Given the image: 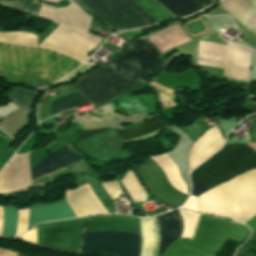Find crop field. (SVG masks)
I'll use <instances>...</instances> for the list:
<instances>
[{"label": "crop field", "mask_w": 256, "mask_h": 256, "mask_svg": "<svg viewBox=\"0 0 256 256\" xmlns=\"http://www.w3.org/2000/svg\"><path fill=\"white\" fill-rule=\"evenodd\" d=\"M248 233L238 223L202 214L193 240L177 239L162 256H217L229 239L240 242Z\"/></svg>", "instance_id": "crop-field-4"}, {"label": "crop field", "mask_w": 256, "mask_h": 256, "mask_svg": "<svg viewBox=\"0 0 256 256\" xmlns=\"http://www.w3.org/2000/svg\"><path fill=\"white\" fill-rule=\"evenodd\" d=\"M174 16L182 17L203 8L193 0H156Z\"/></svg>", "instance_id": "crop-field-24"}, {"label": "crop field", "mask_w": 256, "mask_h": 256, "mask_svg": "<svg viewBox=\"0 0 256 256\" xmlns=\"http://www.w3.org/2000/svg\"><path fill=\"white\" fill-rule=\"evenodd\" d=\"M4 5L24 10L31 14H37L40 5L32 3V0H4Z\"/></svg>", "instance_id": "crop-field-33"}, {"label": "crop field", "mask_w": 256, "mask_h": 256, "mask_svg": "<svg viewBox=\"0 0 256 256\" xmlns=\"http://www.w3.org/2000/svg\"><path fill=\"white\" fill-rule=\"evenodd\" d=\"M211 189L210 187H208L206 184H204L203 182L195 185L192 187V195H200L202 193H204L205 191Z\"/></svg>", "instance_id": "crop-field-38"}, {"label": "crop field", "mask_w": 256, "mask_h": 256, "mask_svg": "<svg viewBox=\"0 0 256 256\" xmlns=\"http://www.w3.org/2000/svg\"><path fill=\"white\" fill-rule=\"evenodd\" d=\"M30 186L28 153L15 155L0 172V193Z\"/></svg>", "instance_id": "crop-field-13"}, {"label": "crop field", "mask_w": 256, "mask_h": 256, "mask_svg": "<svg viewBox=\"0 0 256 256\" xmlns=\"http://www.w3.org/2000/svg\"><path fill=\"white\" fill-rule=\"evenodd\" d=\"M89 104L83 97H81L77 92L63 96L61 98L52 101L51 105V115L58 113L61 110Z\"/></svg>", "instance_id": "crop-field-25"}, {"label": "crop field", "mask_w": 256, "mask_h": 256, "mask_svg": "<svg viewBox=\"0 0 256 256\" xmlns=\"http://www.w3.org/2000/svg\"><path fill=\"white\" fill-rule=\"evenodd\" d=\"M148 39L160 53L190 42L177 26L151 35Z\"/></svg>", "instance_id": "crop-field-21"}, {"label": "crop field", "mask_w": 256, "mask_h": 256, "mask_svg": "<svg viewBox=\"0 0 256 256\" xmlns=\"http://www.w3.org/2000/svg\"><path fill=\"white\" fill-rule=\"evenodd\" d=\"M256 8V0H248Z\"/></svg>", "instance_id": "crop-field-44"}, {"label": "crop field", "mask_w": 256, "mask_h": 256, "mask_svg": "<svg viewBox=\"0 0 256 256\" xmlns=\"http://www.w3.org/2000/svg\"><path fill=\"white\" fill-rule=\"evenodd\" d=\"M0 41L19 45L36 46V36L24 32L0 33Z\"/></svg>", "instance_id": "crop-field-32"}, {"label": "crop field", "mask_w": 256, "mask_h": 256, "mask_svg": "<svg viewBox=\"0 0 256 256\" xmlns=\"http://www.w3.org/2000/svg\"><path fill=\"white\" fill-rule=\"evenodd\" d=\"M223 139L217 126L210 128L200 139L198 138L188 153V174L194 167L218 150L223 144Z\"/></svg>", "instance_id": "crop-field-16"}, {"label": "crop field", "mask_w": 256, "mask_h": 256, "mask_svg": "<svg viewBox=\"0 0 256 256\" xmlns=\"http://www.w3.org/2000/svg\"><path fill=\"white\" fill-rule=\"evenodd\" d=\"M46 1L58 3L62 0ZM69 1L71 2L70 6L65 8L52 9L41 6L38 16L87 32L90 26L91 17L88 16L72 0Z\"/></svg>", "instance_id": "crop-field-14"}, {"label": "crop field", "mask_w": 256, "mask_h": 256, "mask_svg": "<svg viewBox=\"0 0 256 256\" xmlns=\"http://www.w3.org/2000/svg\"><path fill=\"white\" fill-rule=\"evenodd\" d=\"M253 123H254V125H255V130H256V120H253Z\"/></svg>", "instance_id": "crop-field-45"}, {"label": "crop field", "mask_w": 256, "mask_h": 256, "mask_svg": "<svg viewBox=\"0 0 256 256\" xmlns=\"http://www.w3.org/2000/svg\"><path fill=\"white\" fill-rule=\"evenodd\" d=\"M2 224H3V207L0 206V234H1Z\"/></svg>", "instance_id": "crop-field-43"}, {"label": "crop field", "mask_w": 256, "mask_h": 256, "mask_svg": "<svg viewBox=\"0 0 256 256\" xmlns=\"http://www.w3.org/2000/svg\"><path fill=\"white\" fill-rule=\"evenodd\" d=\"M64 197L76 217L107 213L88 184L75 190L66 191Z\"/></svg>", "instance_id": "crop-field-15"}, {"label": "crop field", "mask_w": 256, "mask_h": 256, "mask_svg": "<svg viewBox=\"0 0 256 256\" xmlns=\"http://www.w3.org/2000/svg\"><path fill=\"white\" fill-rule=\"evenodd\" d=\"M88 218L51 222L38 226L37 244L62 251L78 250Z\"/></svg>", "instance_id": "crop-field-10"}, {"label": "crop field", "mask_w": 256, "mask_h": 256, "mask_svg": "<svg viewBox=\"0 0 256 256\" xmlns=\"http://www.w3.org/2000/svg\"><path fill=\"white\" fill-rule=\"evenodd\" d=\"M157 219L160 235V252ZM157 219L156 216L141 219V256H158V252L159 256H161L166 247L176 240L181 233L182 221L177 211L157 215Z\"/></svg>", "instance_id": "crop-field-9"}, {"label": "crop field", "mask_w": 256, "mask_h": 256, "mask_svg": "<svg viewBox=\"0 0 256 256\" xmlns=\"http://www.w3.org/2000/svg\"><path fill=\"white\" fill-rule=\"evenodd\" d=\"M256 168V152L246 144H227L191 173L192 185L204 181L211 188Z\"/></svg>", "instance_id": "crop-field-5"}, {"label": "crop field", "mask_w": 256, "mask_h": 256, "mask_svg": "<svg viewBox=\"0 0 256 256\" xmlns=\"http://www.w3.org/2000/svg\"><path fill=\"white\" fill-rule=\"evenodd\" d=\"M139 81L119 74L111 65L100 66L86 76H80L71 86L92 104L99 107Z\"/></svg>", "instance_id": "crop-field-7"}, {"label": "crop field", "mask_w": 256, "mask_h": 256, "mask_svg": "<svg viewBox=\"0 0 256 256\" xmlns=\"http://www.w3.org/2000/svg\"><path fill=\"white\" fill-rule=\"evenodd\" d=\"M17 226V208L12 205L4 206V224L1 237H14Z\"/></svg>", "instance_id": "crop-field-28"}, {"label": "crop field", "mask_w": 256, "mask_h": 256, "mask_svg": "<svg viewBox=\"0 0 256 256\" xmlns=\"http://www.w3.org/2000/svg\"><path fill=\"white\" fill-rule=\"evenodd\" d=\"M112 65L149 84L168 64L145 37H140L128 44Z\"/></svg>", "instance_id": "crop-field-8"}, {"label": "crop field", "mask_w": 256, "mask_h": 256, "mask_svg": "<svg viewBox=\"0 0 256 256\" xmlns=\"http://www.w3.org/2000/svg\"><path fill=\"white\" fill-rule=\"evenodd\" d=\"M0 3H1V0H0Z\"/></svg>", "instance_id": "crop-field-46"}, {"label": "crop field", "mask_w": 256, "mask_h": 256, "mask_svg": "<svg viewBox=\"0 0 256 256\" xmlns=\"http://www.w3.org/2000/svg\"><path fill=\"white\" fill-rule=\"evenodd\" d=\"M80 64L51 50L0 43V75L33 76L53 83Z\"/></svg>", "instance_id": "crop-field-1"}, {"label": "crop field", "mask_w": 256, "mask_h": 256, "mask_svg": "<svg viewBox=\"0 0 256 256\" xmlns=\"http://www.w3.org/2000/svg\"><path fill=\"white\" fill-rule=\"evenodd\" d=\"M29 208L18 209V226L16 236L27 230Z\"/></svg>", "instance_id": "crop-field-34"}, {"label": "crop field", "mask_w": 256, "mask_h": 256, "mask_svg": "<svg viewBox=\"0 0 256 256\" xmlns=\"http://www.w3.org/2000/svg\"><path fill=\"white\" fill-rule=\"evenodd\" d=\"M108 130H111V129H100V130H89V131L78 132L77 133L78 140L86 139V138L92 137L94 135L106 132Z\"/></svg>", "instance_id": "crop-field-36"}, {"label": "crop field", "mask_w": 256, "mask_h": 256, "mask_svg": "<svg viewBox=\"0 0 256 256\" xmlns=\"http://www.w3.org/2000/svg\"><path fill=\"white\" fill-rule=\"evenodd\" d=\"M183 220V230L180 237L192 239L201 214L178 209Z\"/></svg>", "instance_id": "crop-field-29"}, {"label": "crop field", "mask_w": 256, "mask_h": 256, "mask_svg": "<svg viewBox=\"0 0 256 256\" xmlns=\"http://www.w3.org/2000/svg\"><path fill=\"white\" fill-rule=\"evenodd\" d=\"M83 160V157L64 146L45 157L30 169L31 179L38 178L55 170Z\"/></svg>", "instance_id": "crop-field-17"}, {"label": "crop field", "mask_w": 256, "mask_h": 256, "mask_svg": "<svg viewBox=\"0 0 256 256\" xmlns=\"http://www.w3.org/2000/svg\"><path fill=\"white\" fill-rule=\"evenodd\" d=\"M91 68V65H82L80 68H78L77 70L73 71L72 73L68 74L67 76L63 77L62 79H60L59 81L57 82H63V81H69L71 80V78L77 74V73H83L85 71H87L88 69Z\"/></svg>", "instance_id": "crop-field-37"}, {"label": "crop field", "mask_w": 256, "mask_h": 256, "mask_svg": "<svg viewBox=\"0 0 256 256\" xmlns=\"http://www.w3.org/2000/svg\"><path fill=\"white\" fill-rule=\"evenodd\" d=\"M134 169L139 175L144 187L158 200L174 208L184 203L187 196L174 189L161 169L149 158L145 163Z\"/></svg>", "instance_id": "crop-field-12"}, {"label": "crop field", "mask_w": 256, "mask_h": 256, "mask_svg": "<svg viewBox=\"0 0 256 256\" xmlns=\"http://www.w3.org/2000/svg\"><path fill=\"white\" fill-rule=\"evenodd\" d=\"M183 27L191 37L211 34V26L203 16L188 21Z\"/></svg>", "instance_id": "crop-field-31"}, {"label": "crop field", "mask_w": 256, "mask_h": 256, "mask_svg": "<svg viewBox=\"0 0 256 256\" xmlns=\"http://www.w3.org/2000/svg\"><path fill=\"white\" fill-rule=\"evenodd\" d=\"M158 23L174 18L167 10L154 0H133Z\"/></svg>", "instance_id": "crop-field-26"}, {"label": "crop field", "mask_w": 256, "mask_h": 256, "mask_svg": "<svg viewBox=\"0 0 256 256\" xmlns=\"http://www.w3.org/2000/svg\"><path fill=\"white\" fill-rule=\"evenodd\" d=\"M0 256H17V253L9 252L0 249Z\"/></svg>", "instance_id": "crop-field-41"}, {"label": "crop field", "mask_w": 256, "mask_h": 256, "mask_svg": "<svg viewBox=\"0 0 256 256\" xmlns=\"http://www.w3.org/2000/svg\"><path fill=\"white\" fill-rule=\"evenodd\" d=\"M201 212L243 223L256 214V169L198 196Z\"/></svg>", "instance_id": "crop-field-2"}, {"label": "crop field", "mask_w": 256, "mask_h": 256, "mask_svg": "<svg viewBox=\"0 0 256 256\" xmlns=\"http://www.w3.org/2000/svg\"><path fill=\"white\" fill-rule=\"evenodd\" d=\"M246 224H248L253 229V231L256 232V216L248 221Z\"/></svg>", "instance_id": "crop-field-40"}, {"label": "crop field", "mask_w": 256, "mask_h": 256, "mask_svg": "<svg viewBox=\"0 0 256 256\" xmlns=\"http://www.w3.org/2000/svg\"><path fill=\"white\" fill-rule=\"evenodd\" d=\"M75 215L69 209L64 199L47 204H35L31 206L28 228L49 220L73 218Z\"/></svg>", "instance_id": "crop-field-18"}, {"label": "crop field", "mask_w": 256, "mask_h": 256, "mask_svg": "<svg viewBox=\"0 0 256 256\" xmlns=\"http://www.w3.org/2000/svg\"><path fill=\"white\" fill-rule=\"evenodd\" d=\"M101 39L59 24L39 46L55 49L84 62L89 58L85 54L94 49Z\"/></svg>", "instance_id": "crop-field-11"}, {"label": "crop field", "mask_w": 256, "mask_h": 256, "mask_svg": "<svg viewBox=\"0 0 256 256\" xmlns=\"http://www.w3.org/2000/svg\"><path fill=\"white\" fill-rule=\"evenodd\" d=\"M196 199H197L196 196L190 195L189 199L187 200V202L185 203V205L183 207L191 209V210L199 211L197 203H196Z\"/></svg>", "instance_id": "crop-field-39"}, {"label": "crop field", "mask_w": 256, "mask_h": 256, "mask_svg": "<svg viewBox=\"0 0 256 256\" xmlns=\"http://www.w3.org/2000/svg\"><path fill=\"white\" fill-rule=\"evenodd\" d=\"M220 6L256 33V9L247 0H223Z\"/></svg>", "instance_id": "crop-field-19"}, {"label": "crop field", "mask_w": 256, "mask_h": 256, "mask_svg": "<svg viewBox=\"0 0 256 256\" xmlns=\"http://www.w3.org/2000/svg\"><path fill=\"white\" fill-rule=\"evenodd\" d=\"M121 183L132 197L133 201L145 202L146 194L131 171L121 180Z\"/></svg>", "instance_id": "crop-field-30"}, {"label": "crop field", "mask_w": 256, "mask_h": 256, "mask_svg": "<svg viewBox=\"0 0 256 256\" xmlns=\"http://www.w3.org/2000/svg\"><path fill=\"white\" fill-rule=\"evenodd\" d=\"M225 57L226 46L199 40L195 63L223 68Z\"/></svg>", "instance_id": "crop-field-20"}, {"label": "crop field", "mask_w": 256, "mask_h": 256, "mask_svg": "<svg viewBox=\"0 0 256 256\" xmlns=\"http://www.w3.org/2000/svg\"><path fill=\"white\" fill-rule=\"evenodd\" d=\"M198 3H200L202 6L206 7L214 2H212L211 0H196Z\"/></svg>", "instance_id": "crop-field-42"}, {"label": "crop field", "mask_w": 256, "mask_h": 256, "mask_svg": "<svg viewBox=\"0 0 256 256\" xmlns=\"http://www.w3.org/2000/svg\"><path fill=\"white\" fill-rule=\"evenodd\" d=\"M103 186L111 199L117 198L118 194L122 193L116 181L103 183Z\"/></svg>", "instance_id": "crop-field-35"}, {"label": "crop field", "mask_w": 256, "mask_h": 256, "mask_svg": "<svg viewBox=\"0 0 256 256\" xmlns=\"http://www.w3.org/2000/svg\"><path fill=\"white\" fill-rule=\"evenodd\" d=\"M90 231H123L140 235L138 219L126 216L93 217L87 232ZM123 232L87 233L81 252L139 256L140 236Z\"/></svg>", "instance_id": "crop-field-3"}, {"label": "crop field", "mask_w": 256, "mask_h": 256, "mask_svg": "<svg viewBox=\"0 0 256 256\" xmlns=\"http://www.w3.org/2000/svg\"><path fill=\"white\" fill-rule=\"evenodd\" d=\"M74 1L89 13L100 17L114 30L145 27L157 23L132 0Z\"/></svg>", "instance_id": "crop-field-6"}, {"label": "crop field", "mask_w": 256, "mask_h": 256, "mask_svg": "<svg viewBox=\"0 0 256 256\" xmlns=\"http://www.w3.org/2000/svg\"><path fill=\"white\" fill-rule=\"evenodd\" d=\"M150 159L153 160L162 169L165 176L174 188L184 194H187V183L182 180L178 166L167 153L151 157Z\"/></svg>", "instance_id": "crop-field-22"}, {"label": "crop field", "mask_w": 256, "mask_h": 256, "mask_svg": "<svg viewBox=\"0 0 256 256\" xmlns=\"http://www.w3.org/2000/svg\"><path fill=\"white\" fill-rule=\"evenodd\" d=\"M168 125L163 119L153 116L149 121L145 124L140 125L138 127L127 129V130H115L118 136L121 138L122 141L160 129Z\"/></svg>", "instance_id": "crop-field-23"}, {"label": "crop field", "mask_w": 256, "mask_h": 256, "mask_svg": "<svg viewBox=\"0 0 256 256\" xmlns=\"http://www.w3.org/2000/svg\"><path fill=\"white\" fill-rule=\"evenodd\" d=\"M38 95L39 92L17 87L9 101L23 110L31 111L32 105L37 99Z\"/></svg>", "instance_id": "crop-field-27"}]
</instances>
